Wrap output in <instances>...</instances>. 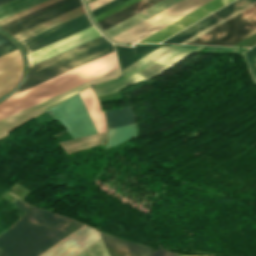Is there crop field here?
<instances>
[{
	"instance_id": "crop-field-24",
	"label": "crop field",
	"mask_w": 256,
	"mask_h": 256,
	"mask_svg": "<svg viewBox=\"0 0 256 256\" xmlns=\"http://www.w3.org/2000/svg\"><path fill=\"white\" fill-rule=\"evenodd\" d=\"M253 1H255V0H248V1H246V2H244V3H242V4H240L239 6L233 8L232 10H230V11L226 12L225 14H223V15L217 17L216 19H214V20L210 21L209 23H207V24L201 26L200 28L194 30L193 32L187 34L186 36H184V37L178 39L177 41H175V42H173V43H180V42L186 40L187 38H189V37L195 35L196 33L202 31L203 29L209 27L210 25H212V24L216 23L217 21H219V20L225 18L226 16L232 14L233 12L239 10L240 8L246 6L247 4H249V3L253 2Z\"/></svg>"
},
{
	"instance_id": "crop-field-35",
	"label": "crop field",
	"mask_w": 256,
	"mask_h": 256,
	"mask_svg": "<svg viewBox=\"0 0 256 256\" xmlns=\"http://www.w3.org/2000/svg\"><path fill=\"white\" fill-rule=\"evenodd\" d=\"M180 256H192V255H180Z\"/></svg>"
},
{
	"instance_id": "crop-field-22",
	"label": "crop field",
	"mask_w": 256,
	"mask_h": 256,
	"mask_svg": "<svg viewBox=\"0 0 256 256\" xmlns=\"http://www.w3.org/2000/svg\"><path fill=\"white\" fill-rule=\"evenodd\" d=\"M135 137L134 124L108 130L107 147L115 146ZM106 147V148H107Z\"/></svg>"
},
{
	"instance_id": "crop-field-10",
	"label": "crop field",
	"mask_w": 256,
	"mask_h": 256,
	"mask_svg": "<svg viewBox=\"0 0 256 256\" xmlns=\"http://www.w3.org/2000/svg\"><path fill=\"white\" fill-rule=\"evenodd\" d=\"M232 0H212L137 43L160 42Z\"/></svg>"
},
{
	"instance_id": "crop-field-28",
	"label": "crop field",
	"mask_w": 256,
	"mask_h": 256,
	"mask_svg": "<svg viewBox=\"0 0 256 256\" xmlns=\"http://www.w3.org/2000/svg\"><path fill=\"white\" fill-rule=\"evenodd\" d=\"M137 1H139V0H128V1L118 5L116 7H114L112 9H110V10H108V11H106V12H104V13L96 16V17H94V19L97 22V21H99V20H101V19H103V18H105V17H107V16H109V15H111V14H113V13H115V12H117V11H119V10H121V9H123V8L133 4V3H135V2H137Z\"/></svg>"
},
{
	"instance_id": "crop-field-31",
	"label": "crop field",
	"mask_w": 256,
	"mask_h": 256,
	"mask_svg": "<svg viewBox=\"0 0 256 256\" xmlns=\"http://www.w3.org/2000/svg\"><path fill=\"white\" fill-rule=\"evenodd\" d=\"M110 1H112V0H96V1L89 3L88 5H89L90 10L92 11Z\"/></svg>"
},
{
	"instance_id": "crop-field-32",
	"label": "crop field",
	"mask_w": 256,
	"mask_h": 256,
	"mask_svg": "<svg viewBox=\"0 0 256 256\" xmlns=\"http://www.w3.org/2000/svg\"><path fill=\"white\" fill-rule=\"evenodd\" d=\"M14 50H16V47H15L13 44H11V45H9V46H6V47H4V48H1V49H0V56H1V55H4V54H6V53H9V52H11V51H14Z\"/></svg>"
},
{
	"instance_id": "crop-field-9",
	"label": "crop field",
	"mask_w": 256,
	"mask_h": 256,
	"mask_svg": "<svg viewBox=\"0 0 256 256\" xmlns=\"http://www.w3.org/2000/svg\"><path fill=\"white\" fill-rule=\"evenodd\" d=\"M89 26H91V23L89 22L87 15L85 14L65 24H62L35 37L25 40L20 44L24 47L27 53H29L33 50H36L40 47L57 41L63 37H66Z\"/></svg>"
},
{
	"instance_id": "crop-field-15",
	"label": "crop field",
	"mask_w": 256,
	"mask_h": 256,
	"mask_svg": "<svg viewBox=\"0 0 256 256\" xmlns=\"http://www.w3.org/2000/svg\"><path fill=\"white\" fill-rule=\"evenodd\" d=\"M193 1L194 0H181L180 2L172 5L171 7L161 11L160 13L152 16L151 18L141 22L140 24L132 27L131 29L121 33L120 35L112 39L121 42Z\"/></svg>"
},
{
	"instance_id": "crop-field-13",
	"label": "crop field",
	"mask_w": 256,
	"mask_h": 256,
	"mask_svg": "<svg viewBox=\"0 0 256 256\" xmlns=\"http://www.w3.org/2000/svg\"><path fill=\"white\" fill-rule=\"evenodd\" d=\"M210 0H196L193 3L187 5L186 7L178 10L177 12L171 14L170 16L162 19L161 21L155 23L154 25L146 28L145 30L137 33L136 35L130 37L129 39L123 41V42H137L141 39H143L144 37L152 34L153 32L159 30L160 28L168 25L169 23L175 21L176 19L184 16L185 14L191 12L192 10L200 7L201 5L207 3Z\"/></svg>"
},
{
	"instance_id": "crop-field-8",
	"label": "crop field",
	"mask_w": 256,
	"mask_h": 256,
	"mask_svg": "<svg viewBox=\"0 0 256 256\" xmlns=\"http://www.w3.org/2000/svg\"><path fill=\"white\" fill-rule=\"evenodd\" d=\"M101 36V34L93 27H89L57 42L40 48L28 54L30 66L42 60L50 58L82 43L90 41L94 38Z\"/></svg>"
},
{
	"instance_id": "crop-field-33",
	"label": "crop field",
	"mask_w": 256,
	"mask_h": 256,
	"mask_svg": "<svg viewBox=\"0 0 256 256\" xmlns=\"http://www.w3.org/2000/svg\"><path fill=\"white\" fill-rule=\"evenodd\" d=\"M9 44H11V42L7 38H5L3 35L0 34V48Z\"/></svg>"
},
{
	"instance_id": "crop-field-18",
	"label": "crop field",
	"mask_w": 256,
	"mask_h": 256,
	"mask_svg": "<svg viewBox=\"0 0 256 256\" xmlns=\"http://www.w3.org/2000/svg\"><path fill=\"white\" fill-rule=\"evenodd\" d=\"M105 135L106 133L85 137V138H80V139H75V140H70L66 142H61L60 144L66 149L68 154H70V153L78 152L88 148L103 145L105 141Z\"/></svg>"
},
{
	"instance_id": "crop-field-27",
	"label": "crop field",
	"mask_w": 256,
	"mask_h": 256,
	"mask_svg": "<svg viewBox=\"0 0 256 256\" xmlns=\"http://www.w3.org/2000/svg\"><path fill=\"white\" fill-rule=\"evenodd\" d=\"M255 4H256V1H255V2H253V3H251V4H249V5H247L246 7L242 8V9H240L239 11H237V12L233 13L232 15H230V16H228V17H226L225 19H223V20H221V21L217 22L216 24H214V25L210 26L209 28H207V29L203 30L202 32H200V33L196 34L195 36H193V37H191V38L187 39L186 41L182 42V44H186V43L190 42L191 40H193V39L197 38L198 36H200V35L204 34L205 32H207V31L211 30L212 28H214V27H216V26L220 25L221 23H223V22L227 21L228 19H230V18L234 17L235 15H237V14L241 13L242 11H244V10L248 9L249 7H251V6L255 5Z\"/></svg>"
},
{
	"instance_id": "crop-field-12",
	"label": "crop field",
	"mask_w": 256,
	"mask_h": 256,
	"mask_svg": "<svg viewBox=\"0 0 256 256\" xmlns=\"http://www.w3.org/2000/svg\"><path fill=\"white\" fill-rule=\"evenodd\" d=\"M178 1L180 0H162L104 31L112 38Z\"/></svg>"
},
{
	"instance_id": "crop-field-21",
	"label": "crop field",
	"mask_w": 256,
	"mask_h": 256,
	"mask_svg": "<svg viewBox=\"0 0 256 256\" xmlns=\"http://www.w3.org/2000/svg\"><path fill=\"white\" fill-rule=\"evenodd\" d=\"M244 1H246V0H236V1L228 4L227 6L221 8L220 10L214 12L213 14L207 16L206 18L198 21L197 23H195V24L191 25L190 27L184 29L183 31L177 33L176 35L168 38L167 40L163 41L162 43H171V42L177 40L178 38L186 35L187 33L193 31L194 29H196V28L200 27L201 25L209 22L210 20H212V19L216 18L217 16L225 13L226 11L232 9L233 7L239 5L240 3L244 2Z\"/></svg>"
},
{
	"instance_id": "crop-field-1",
	"label": "crop field",
	"mask_w": 256,
	"mask_h": 256,
	"mask_svg": "<svg viewBox=\"0 0 256 256\" xmlns=\"http://www.w3.org/2000/svg\"><path fill=\"white\" fill-rule=\"evenodd\" d=\"M28 213L0 236V256H37L82 224L17 200Z\"/></svg>"
},
{
	"instance_id": "crop-field-26",
	"label": "crop field",
	"mask_w": 256,
	"mask_h": 256,
	"mask_svg": "<svg viewBox=\"0 0 256 256\" xmlns=\"http://www.w3.org/2000/svg\"><path fill=\"white\" fill-rule=\"evenodd\" d=\"M243 56L249 66V69H250L255 81H256V47L243 53Z\"/></svg>"
},
{
	"instance_id": "crop-field-16",
	"label": "crop field",
	"mask_w": 256,
	"mask_h": 256,
	"mask_svg": "<svg viewBox=\"0 0 256 256\" xmlns=\"http://www.w3.org/2000/svg\"><path fill=\"white\" fill-rule=\"evenodd\" d=\"M160 0H141L99 22H97V24L104 30L124 19H126L127 17L149 7L150 5L158 2Z\"/></svg>"
},
{
	"instance_id": "crop-field-25",
	"label": "crop field",
	"mask_w": 256,
	"mask_h": 256,
	"mask_svg": "<svg viewBox=\"0 0 256 256\" xmlns=\"http://www.w3.org/2000/svg\"><path fill=\"white\" fill-rule=\"evenodd\" d=\"M78 256H108L101 240Z\"/></svg>"
},
{
	"instance_id": "crop-field-4",
	"label": "crop field",
	"mask_w": 256,
	"mask_h": 256,
	"mask_svg": "<svg viewBox=\"0 0 256 256\" xmlns=\"http://www.w3.org/2000/svg\"><path fill=\"white\" fill-rule=\"evenodd\" d=\"M256 5L188 44L233 46L256 32ZM254 25V26H253Z\"/></svg>"
},
{
	"instance_id": "crop-field-29",
	"label": "crop field",
	"mask_w": 256,
	"mask_h": 256,
	"mask_svg": "<svg viewBox=\"0 0 256 256\" xmlns=\"http://www.w3.org/2000/svg\"><path fill=\"white\" fill-rule=\"evenodd\" d=\"M124 1H126V0H114V1L104 5L102 7L92 11L91 13H92V15L94 17V16H96V15H98V14H100V13H102V12H104V11H106V10H108V9H110V8H112V7L116 6V5L124 2Z\"/></svg>"
},
{
	"instance_id": "crop-field-7",
	"label": "crop field",
	"mask_w": 256,
	"mask_h": 256,
	"mask_svg": "<svg viewBox=\"0 0 256 256\" xmlns=\"http://www.w3.org/2000/svg\"><path fill=\"white\" fill-rule=\"evenodd\" d=\"M81 5L80 0H61L11 23H8L2 26V28L14 36Z\"/></svg>"
},
{
	"instance_id": "crop-field-36",
	"label": "crop field",
	"mask_w": 256,
	"mask_h": 256,
	"mask_svg": "<svg viewBox=\"0 0 256 256\" xmlns=\"http://www.w3.org/2000/svg\"><path fill=\"white\" fill-rule=\"evenodd\" d=\"M40 256V255H39Z\"/></svg>"
},
{
	"instance_id": "crop-field-23",
	"label": "crop field",
	"mask_w": 256,
	"mask_h": 256,
	"mask_svg": "<svg viewBox=\"0 0 256 256\" xmlns=\"http://www.w3.org/2000/svg\"><path fill=\"white\" fill-rule=\"evenodd\" d=\"M45 0H11L0 5V20Z\"/></svg>"
},
{
	"instance_id": "crop-field-3",
	"label": "crop field",
	"mask_w": 256,
	"mask_h": 256,
	"mask_svg": "<svg viewBox=\"0 0 256 256\" xmlns=\"http://www.w3.org/2000/svg\"><path fill=\"white\" fill-rule=\"evenodd\" d=\"M113 50L114 49L111 43L101 36L50 59L35 64L30 67L25 82L17 92L100 57Z\"/></svg>"
},
{
	"instance_id": "crop-field-20",
	"label": "crop field",
	"mask_w": 256,
	"mask_h": 256,
	"mask_svg": "<svg viewBox=\"0 0 256 256\" xmlns=\"http://www.w3.org/2000/svg\"><path fill=\"white\" fill-rule=\"evenodd\" d=\"M159 46H135V47H123L118 45L119 56L122 64V68L127 67L131 63L140 59L144 55L153 51Z\"/></svg>"
},
{
	"instance_id": "crop-field-17",
	"label": "crop field",
	"mask_w": 256,
	"mask_h": 256,
	"mask_svg": "<svg viewBox=\"0 0 256 256\" xmlns=\"http://www.w3.org/2000/svg\"><path fill=\"white\" fill-rule=\"evenodd\" d=\"M100 236L104 245L107 247L129 251L140 256H149L154 251L149 247L118 239L103 233H100Z\"/></svg>"
},
{
	"instance_id": "crop-field-14",
	"label": "crop field",
	"mask_w": 256,
	"mask_h": 256,
	"mask_svg": "<svg viewBox=\"0 0 256 256\" xmlns=\"http://www.w3.org/2000/svg\"><path fill=\"white\" fill-rule=\"evenodd\" d=\"M98 132H104L106 131V126H105V119H104V114L102 111V108L94 94V92L90 89L87 88L81 92H79Z\"/></svg>"
},
{
	"instance_id": "crop-field-37",
	"label": "crop field",
	"mask_w": 256,
	"mask_h": 256,
	"mask_svg": "<svg viewBox=\"0 0 256 256\" xmlns=\"http://www.w3.org/2000/svg\"><path fill=\"white\" fill-rule=\"evenodd\" d=\"M133 256V255H132Z\"/></svg>"
},
{
	"instance_id": "crop-field-19",
	"label": "crop field",
	"mask_w": 256,
	"mask_h": 256,
	"mask_svg": "<svg viewBox=\"0 0 256 256\" xmlns=\"http://www.w3.org/2000/svg\"><path fill=\"white\" fill-rule=\"evenodd\" d=\"M104 113L106 115L108 129L136 122L131 106Z\"/></svg>"
},
{
	"instance_id": "crop-field-34",
	"label": "crop field",
	"mask_w": 256,
	"mask_h": 256,
	"mask_svg": "<svg viewBox=\"0 0 256 256\" xmlns=\"http://www.w3.org/2000/svg\"><path fill=\"white\" fill-rule=\"evenodd\" d=\"M5 1H7V0H0V4L3 3V2H5Z\"/></svg>"
},
{
	"instance_id": "crop-field-6",
	"label": "crop field",
	"mask_w": 256,
	"mask_h": 256,
	"mask_svg": "<svg viewBox=\"0 0 256 256\" xmlns=\"http://www.w3.org/2000/svg\"><path fill=\"white\" fill-rule=\"evenodd\" d=\"M119 75H120L119 69L117 68L111 72H108L104 75H101V76L95 78V79H92L88 82H85V83L79 85V86H76L72 89H69V90L63 92V93H60V94L53 96L47 100H44V101L37 103L31 107H28V108L21 110L15 114H12L8 117L1 119L0 120V138L3 137L4 135H6L7 131L21 125L22 123L29 120L33 116L39 114L40 112L44 111L45 109H47L49 107L55 105L56 103L68 98L69 96L79 92L80 90H82L92 84L118 77Z\"/></svg>"
},
{
	"instance_id": "crop-field-30",
	"label": "crop field",
	"mask_w": 256,
	"mask_h": 256,
	"mask_svg": "<svg viewBox=\"0 0 256 256\" xmlns=\"http://www.w3.org/2000/svg\"><path fill=\"white\" fill-rule=\"evenodd\" d=\"M176 255H179V254L168 252V251H166V250H164L162 248H159L158 250H156L150 256H176Z\"/></svg>"
},
{
	"instance_id": "crop-field-11",
	"label": "crop field",
	"mask_w": 256,
	"mask_h": 256,
	"mask_svg": "<svg viewBox=\"0 0 256 256\" xmlns=\"http://www.w3.org/2000/svg\"><path fill=\"white\" fill-rule=\"evenodd\" d=\"M21 72L22 61L18 50L0 57V96L14 88Z\"/></svg>"
},
{
	"instance_id": "crop-field-5",
	"label": "crop field",
	"mask_w": 256,
	"mask_h": 256,
	"mask_svg": "<svg viewBox=\"0 0 256 256\" xmlns=\"http://www.w3.org/2000/svg\"><path fill=\"white\" fill-rule=\"evenodd\" d=\"M73 138L98 133L79 94L46 110Z\"/></svg>"
},
{
	"instance_id": "crop-field-2",
	"label": "crop field",
	"mask_w": 256,
	"mask_h": 256,
	"mask_svg": "<svg viewBox=\"0 0 256 256\" xmlns=\"http://www.w3.org/2000/svg\"><path fill=\"white\" fill-rule=\"evenodd\" d=\"M114 51L8 97L0 103V119L117 68Z\"/></svg>"
}]
</instances>
